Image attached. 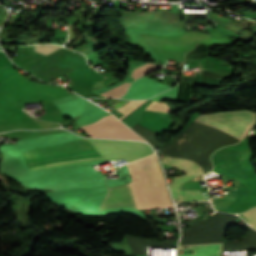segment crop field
Wrapping results in <instances>:
<instances>
[{
	"instance_id": "crop-field-2",
	"label": "crop field",
	"mask_w": 256,
	"mask_h": 256,
	"mask_svg": "<svg viewBox=\"0 0 256 256\" xmlns=\"http://www.w3.org/2000/svg\"><path fill=\"white\" fill-rule=\"evenodd\" d=\"M254 122V113L234 111L199 115L191 125L214 129L237 142L244 137Z\"/></svg>"
},
{
	"instance_id": "crop-field-4",
	"label": "crop field",
	"mask_w": 256,
	"mask_h": 256,
	"mask_svg": "<svg viewBox=\"0 0 256 256\" xmlns=\"http://www.w3.org/2000/svg\"><path fill=\"white\" fill-rule=\"evenodd\" d=\"M161 162L171 164L186 175L173 178L170 185L173 199L178 202L188 201V200H204L205 197L200 190H189V191H179V186L187 180H190L200 174H202L201 169L194 163L188 162L186 160L170 159L165 157Z\"/></svg>"
},
{
	"instance_id": "crop-field-7",
	"label": "crop field",
	"mask_w": 256,
	"mask_h": 256,
	"mask_svg": "<svg viewBox=\"0 0 256 256\" xmlns=\"http://www.w3.org/2000/svg\"><path fill=\"white\" fill-rule=\"evenodd\" d=\"M241 214H243L247 218L249 224L252 227L256 228V207L251 208V209H249L246 212L241 213Z\"/></svg>"
},
{
	"instance_id": "crop-field-3",
	"label": "crop field",
	"mask_w": 256,
	"mask_h": 256,
	"mask_svg": "<svg viewBox=\"0 0 256 256\" xmlns=\"http://www.w3.org/2000/svg\"><path fill=\"white\" fill-rule=\"evenodd\" d=\"M87 139V138H86ZM105 160L125 159L130 162L153 153L151 147L142 142L87 139Z\"/></svg>"
},
{
	"instance_id": "crop-field-5",
	"label": "crop field",
	"mask_w": 256,
	"mask_h": 256,
	"mask_svg": "<svg viewBox=\"0 0 256 256\" xmlns=\"http://www.w3.org/2000/svg\"><path fill=\"white\" fill-rule=\"evenodd\" d=\"M128 185L124 184L109 188V192L103 200L100 210L127 207L136 208L134 200L131 195L132 192L130 193L131 189L129 190Z\"/></svg>"
},
{
	"instance_id": "crop-field-1",
	"label": "crop field",
	"mask_w": 256,
	"mask_h": 256,
	"mask_svg": "<svg viewBox=\"0 0 256 256\" xmlns=\"http://www.w3.org/2000/svg\"><path fill=\"white\" fill-rule=\"evenodd\" d=\"M22 153L29 168L99 155L97 151L91 146V144L85 140H76L44 148L24 151ZM100 159H102L101 156L92 157L65 163L31 168L30 171L60 167Z\"/></svg>"
},
{
	"instance_id": "crop-field-6",
	"label": "crop field",
	"mask_w": 256,
	"mask_h": 256,
	"mask_svg": "<svg viewBox=\"0 0 256 256\" xmlns=\"http://www.w3.org/2000/svg\"><path fill=\"white\" fill-rule=\"evenodd\" d=\"M223 243H207L179 246L178 250H193V255L178 256H220Z\"/></svg>"
}]
</instances>
